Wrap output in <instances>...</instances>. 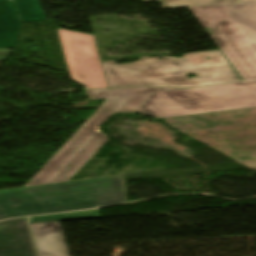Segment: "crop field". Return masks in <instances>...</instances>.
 <instances>
[{"instance_id":"obj_13","label":"crop field","mask_w":256,"mask_h":256,"mask_svg":"<svg viewBox=\"0 0 256 256\" xmlns=\"http://www.w3.org/2000/svg\"><path fill=\"white\" fill-rule=\"evenodd\" d=\"M151 1V0H143ZM163 9L215 4L214 0H160Z\"/></svg>"},{"instance_id":"obj_15","label":"crop field","mask_w":256,"mask_h":256,"mask_svg":"<svg viewBox=\"0 0 256 256\" xmlns=\"http://www.w3.org/2000/svg\"><path fill=\"white\" fill-rule=\"evenodd\" d=\"M250 1H256V0H242V2H250Z\"/></svg>"},{"instance_id":"obj_12","label":"crop field","mask_w":256,"mask_h":256,"mask_svg":"<svg viewBox=\"0 0 256 256\" xmlns=\"http://www.w3.org/2000/svg\"><path fill=\"white\" fill-rule=\"evenodd\" d=\"M22 22L46 20L38 0H13Z\"/></svg>"},{"instance_id":"obj_10","label":"crop field","mask_w":256,"mask_h":256,"mask_svg":"<svg viewBox=\"0 0 256 256\" xmlns=\"http://www.w3.org/2000/svg\"><path fill=\"white\" fill-rule=\"evenodd\" d=\"M203 28L208 27L212 34L240 32L221 5L189 8Z\"/></svg>"},{"instance_id":"obj_7","label":"crop field","mask_w":256,"mask_h":256,"mask_svg":"<svg viewBox=\"0 0 256 256\" xmlns=\"http://www.w3.org/2000/svg\"><path fill=\"white\" fill-rule=\"evenodd\" d=\"M99 217L98 209L0 222V256H37L28 224Z\"/></svg>"},{"instance_id":"obj_5","label":"crop field","mask_w":256,"mask_h":256,"mask_svg":"<svg viewBox=\"0 0 256 256\" xmlns=\"http://www.w3.org/2000/svg\"><path fill=\"white\" fill-rule=\"evenodd\" d=\"M222 6L242 33L211 37L243 81L256 80V2Z\"/></svg>"},{"instance_id":"obj_11","label":"crop field","mask_w":256,"mask_h":256,"mask_svg":"<svg viewBox=\"0 0 256 256\" xmlns=\"http://www.w3.org/2000/svg\"><path fill=\"white\" fill-rule=\"evenodd\" d=\"M20 24L12 0H0V48H14Z\"/></svg>"},{"instance_id":"obj_1","label":"crop field","mask_w":256,"mask_h":256,"mask_svg":"<svg viewBox=\"0 0 256 256\" xmlns=\"http://www.w3.org/2000/svg\"><path fill=\"white\" fill-rule=\"evenodd\" d=\"M206 57L211 59L206 60ZM102 64L109 88L140 85L199 87L242 81L220 49L184 54L182 58L158 56L120 65L114 62ZM189 73L196 77L185 79Z\"/></svg>"},{"instance_id":"obj_8","label":"crop field","mask_w":256,"mask_h":256,"mask_svg":"<svg viewBox=\"0 0 256 256\" xmlns=\"http://www.w3.org/2000/svg\"><path fill=\"white\" fill-rule=\"evenodd\" d=\"M91 207H97L96 196L0 207V220Z\"/></svg>"},{"instance_id":"obj_4","label":"crop field","mask_w":256,"mask_h":256,"mask_svg":"<svg viewBox=\"0 0 256 256\" xmlns=\"http://www.w3.org/2000/svg\"><path fill=\"white\" fill-rule=\"evenodd\" d=\"M97 195L98 207L126 202L122 176L0 191V206Z\"/></svg>"},{"instance_id":"obj_9","label":"crop field","mask_w":256,"mask_h":256,"mask_svg":"<svg viewBox=\"0 0 256 256\" xmlns=\"http://www.w3.org/2000/svg\"><path fill=\"white\" fill-rule=\"evenodd\" d=\"M31 225L41 256H69L59 222Z\"/></svg>"},{"instance_id":"obj_2","label":"crop field","mask_w":256,"mask_h":256,"mask_svg":"<svg viewBox=\"0 0 256 256\" xmlns=\"http://www.w3.org/2000/svg\"><path fill=\"white\" fill-rule=\"evenodd\" d=\"M175 89L132 88L119 90H85L91 100L108 98L66 144L25 186L67 181L108 140L94 131L111 114L136 112L154 93Z\"/></svg>"},{"instance_id":"obj_14","label":"crop field","mask_w":256,"mask_h":256,"mask_svg":"<svg viewBox=\"0 0 256 256\" xmlns=\"http://www.w3.org/2000/svg\"><path fill=\"white\" fill-rule=\"evenodd\" d=\"M216 4H226V3H236L241 2V0H215Z\"/></svg>"},{"instance_id":"obj_6","label":"crop field","mask_w":256,"mask_h":256,"mask_svg":"<svg viewBox=\"0 0 256 256\" xmlns=\"http://www.w3.org/2000/svg\"><path fill=\"white\" fill-rule=\"evenodd\" d=\"M57 30L70 79L86 88H108L94 36Z\"/></svg>"},{"instance_id":"obj_3","label":"crop field","mask_w":256,"mask_h":256,"mask_svg":"<svg viewBox=\"0 0 256 256\" xmlns=\"http://www.w3.org/2000/svg\"><path fill=\"white\" fill-rule=\"evenodd\" d=\"M256 107V82L154 93L137 111L157 119Z\"/></svg>"}]
</instances>
